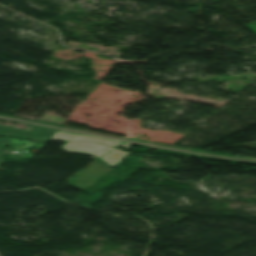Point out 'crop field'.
<instances>
[{
  "instance_id": "obj_4",
  "label": "crop field",
  "mask_w": 256,
  "mask_h": 256,
  "mask_svg": "<svg viewBox=\"0 0 256 256\" xmlns=\"http://www.w3.org/2000/svg\"><path fill=\"white\" fill-rule=\"evenodd\" d=\"M127 154H129V152L115 149L100 158L103 159L110 166H114L121 159H123Z\"/></svg>"
},
{
  "instance_id": "obj_1",
  "label": "crop field",
  "mask_w": 256,
  "mask_h": 256,
  "mask_svg": "<svg viewBox=\"0 0 256 256\" xmlns=\"http://www.w3.org/2000/svg\"><path fill=\"white\" fill-rule=\"evenodd\" d=\"M60 149L66 150L68 152L100 156L113 148L95 142L71 141L67 142V144H62Z\"/></svg>"
},
{
  "instance_id": "obj_3",
  "label": "crop field",
  "mask_w": 256,
  "mask_h": 256,
  "mask_svg": "<svg viewBox=\"0 0 256 256\" xmlns=\"http://www.w3.org/2000/svg\"><path fill=\"white\" fill-rule=\"evenodd\" d=\"M50 139H57V140H94L98 141L110 146L113 145H121L120 142L105 139V138H99V137H93V136H86V135H74L69 133H63L60 131H56ZM131 143H126L121 145L124 149H129Z\"/></svg>"
},
{
  "instance_id": "obj_5",
  "label": "crop field",
  "mask_w": 256,
  "mask_h": 256,
  "mask_svg": "<svg viewBox=\"0 0 256 256\" xmlns=\"http://www.w3.org/2000/svg\"><path fill=\"white\" fill-rule=\"evenodd\" d=\"M10 139H0V150Z\"/></svg>"
},
{
  "instance_id": "obj_2",
  "label": "crop field",
  "mask_w": 256,
  "mask_h": 256,
  "mask_svg": "<svg viewBox=\"0 0 256 256\" xmlns=\"http://www.w3.org/2000/svg\"><path fill=\"white\" fill-rule=\"evenodd\" d=\"M54 132L55 131L53 130H48L46 128H41V127H33L31 130L27 132V131L0 125V135L9 134V135H18L22 137H32L40 140H47L50 138V136Z\"/></svg>"
}]
</instances>
